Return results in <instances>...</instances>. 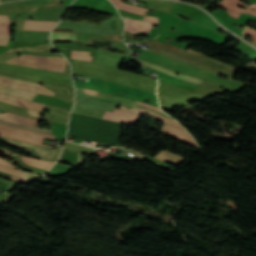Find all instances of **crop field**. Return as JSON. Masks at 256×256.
<instances>
[{
  "mask_svg": "<svg viewBox=\"0 0 256 256\" xmlns=\"http://www.w3.org/2000/svg\"><path fill=\"white\" fill-rule=\"evenodd\" d=\"M7 63L45 68L63 72L66 60L65 58L59 57L31 56L22 54L20 59L13 58L7 61Z\"/></svg>",
  "mask_w": 256,
  "mask_h": 256,
  "instance_id": "1",
  "label": "crop field"
},
{
  "mask_svg": "<svg viewBox=\"0 0 256 256\" xmlns=\"http://www.w3.org/2000/svg\"><path fill=\"white\" fill-rule=\"evenodd\" d=\"M0 135L41 145L43 138L53 140L55 136L21 130L0 124ZM44 146V145H43ZM49 147V146H47ZM55 148V147H51ZM60 149V148H57Z\"/></svg>",
  "mask_w": 256,
  "mask_h": 256,
  "instance_id": "2",
  "label": "crop field"
},
{
  "mask_svg": "<svg viewBox=\"0 0 256 256\" xmlns=\"http://www.w3.org/2000/svg\"><path fill=\"white\" fill-rule=\"evenodd\" d=\"M0 138L4 143H6L12 147L30 151L32 157L56 161L59 156L60 150L31 145V144H27V143L15 141V140H9V139H5L1 136H0Z\"/></svg>",
  "mask_w": 256,
  "mask_h": 256,
  "instance_id": "3",
  "label": "crop field"
},
{
  "mask_svg": "<svg viewBox=\"0 0 256 256\" xmlns=\"http://www.w3.org/2000/svg\"><path fill=\"white\" fill-rule=\"evenodd\" d=\"M0 119L10 121V122H14V123H18V124L35 126V127H37V125H38L37 120H33V119H29V118L9 114V113L2 114V115L0 114ZM2 120H0V123L6 124V125H11V126H15V127L23 128V129H28V130H32V131H37V132H42V133L53 134V132L49 131V130H43V129L28 127V126H22V125L10 123V122L2 121Z\"/></svg>",
  "mask_w": 256,
  "mask_h": 256,
  "instance_id": "4",
  "label": "crop field"
},
{
  "mask_svg": "<svg viewBox=\"0 0 256 256\" xmlns=\"http://www.w3.org/2000/svg\"><path fill=\"white\" fill-rule=\"evenodd\" d=\"M0 84L7 86L9 88L20 89V90H25L29 92H35V93L46 94L51 96H53L54 94V92L48 90L47 88L41 85L31 84V83L14 80V79H8L1 76H0Z\"/></svg>",
  "mask_w": 256,
  "mask_h": 256,
  "instance_id": "5",
  "label": "crop field"
},
{
  "mask_svg": "<svg viewBox=\"0 0 256 256\" xmlns=\"http://www.w3.org/2000/svg\"><path fill=\"white\" fill-rule=\"evenodd\" d=\"M103 118L136 125L140 115L115 109L113 113L107 111Z\"/></svg>",
  "mask_w": 256,
  "mask_h": 256,
  "instance_id": "6",
  "label": "crop field"
},
{
  "mask_svg": "<svg viewBox=\"0 0 256 256\" xmlns=\"http://www.w3.org/2000/svg\"><path fill=\"white\" fill-rule=\"evenodd\" d=\"M124 20L126 22L125 30L136 33V34H139V31L148 33L152 26V23L145 22V21L126 19V18H124Z\"/></svg>",
  "mask_w": 256,
  "mask_h": 256,
  "instance_id": "7",
  "label": "crop field"
},
{
  "mask_svg": "<svg viewBox=\"0 0 256 256\" xmlns=\"http://www.w3.org/2000/svg\"><path fill=\"white\" fill-rule=\"evenodd\" d=\"M0 101L18 105V106L28 107V108L39 110V111L42 110V107L44 105L41 103L30 102V101H26V100H22V99H17V98L1 95V94H0Z\"/></svg>",
  "mask_w": 256,
  "mask_h": 256,
  "instance_id": "8",
  "label": "crop field"
},
{
  "mask_svg": "<svg viewBox=\"0 0 256 256\" xmlns=\"http://www.w3.org/2000/svg\"><path fill=\"white\" fill-rule=\"evenodd\" d=\"M57 22L26 20L24 30L50 31Z\"/></svg>",
  "mask_w": 256,
  "mask_h": 256,
  "instance_id": "9",
  "label": "crop field"
},
{
  "mask_svg": "<svg viewBox=\"0 0 256 256\" xmlns=\"http://www.w3.org/2000/svg\"><path fill=\"white\" fill-rule=\"evenodd\" d=\"M161 131L166 132L168 134H171L173 136H176V137H178L180 139L188 141V142H190V143H192V144L197 146L196 142L189 135V133L187 131H185V130H182V129H179V128H176V127H173V126H170V125L164 123Z\"/></svg>",
  "mask_w": 256,
  "mask_h": 256,
  "instance_id": "10",
  "label": "crop field"
},
{
  "mask_svg": "<svg viewBox=\"0 0 256 256\" xmlns=\"http://www.w3.org/2000/svg\"><path fill=\"white\" fill-rule=\"evenodd\" d=\"M121 110H125V111H129V112H132V113H136V114H140V115H145L146 113L152 115L153 118L155 119H158L162 122H165V123H168L170 125H173V126H176V127H179V128H182L184 129L178 122H176L175 120L173 119H170V118H167V117H164V116H161V115H158V114H155V113H152V112H149V111H146V110H142V109H139V108H135L133 107L132 110H129V109H126L125 107H121Z\"/></svg>",
  "mask_w": 256,
  "mask_h": 256,
  "instance_id": "11",
  "label": "crop field"
},
{
  "mask_svg": "<svg viewBox=\"0 0 256 256\" xmlns=\"http://www.w3.org/2000/svg\"><path fill=\"white\" fill-rule=\"evenodd\" d=\"M155 158L162 160L168 164H171L175 167H177L179 164L183 162V158L168 151L164 150L163 152L159 153Z\"/></svg>",
  "mask_w": 256,
  "mask_h": 256,
  "instance_id": "12",
  "label": "crop field"
},
{
  "mask_svg": "<svg viewBox=\"0 0 256 256\" xmlns=\"http://www.w3.org/2000/svg\"><path fill=\"white\" fill-rule=\"evenodd\" d=\"M101 95H102V98L104 99H117V100H123V101H128V102H132V103H136V101H133V100H129V99H125V98H121V97H117L115 95H111V94H106V93H102L100 92ZM140 102V101H139ZM138 102V103H139ZM140 106L139 108H142V109H146V110H149V111H152V112H155V113H158V114H161V115H164V116H167L166 114H164L163 112L160 111V109L158 107H155V106H152V105H148V104H143V103H139ZM169 117V116H167ZM171 118V117H170Z\"/></svg>",
  "mask_w": 256,
  "mask_h": 256,
  "instance_id": "13",
  "label": "crop field"
},
{
  "mask_svg": "<svg viewBox=\"0 0 256 256\" xmlns=\"http://www.w3.org/2000/svg\"><path fill=\"white\" fill-rule=\"evenodd\" d=\"M0 93L5 94V95H9V96H13V97H17V98L30 100V101H32L33 96H36V94H34V93H29V92L19 91V90H13V89H9V88H6L4 86H1V85H0Z\"/></svg>",
  "mask_w": 256,
  "mask_h": 256,
  "instance_id": "14",
  "label": "crop field"
},
{
  "mask_svg": "<svg viewBox=\"0 0 256 256\" xmlns=\"http://www.w3.org/2000/svg\"><path fill=\"white\" fill-rule=\"evenodd\" d=\"M75 38H76L75 34L59 33V32H52L51 33V41H56V42H74Z\"/></svg>",
  "mask_w": 256,
  "mask_h": 256,
  "instance_id": "15",
  "label": "crop field"
},
{
  "mask_svg": "<svg viewBox=\"0 0 256 256\" xmlns=\"http://www.w3.org/2000/svg\"><path fill=\"white\" fill-rule=\"evenodd\" d=\"M110 1L115 6H117L118 8H122V9L128 10L130 12H134V13H138V14L144 15L146 13V11H147V9H145V8L136 7V6H132V5L121 3L123 0H118V1H121V2H117V1H113V0H110Z\"/></svg>",
  "mask_w": 256,
  "mask_h": 256,
  "instance_id": "16",
  "label": "crop field"
},
{
  "mask_svg": "<svg viewBox=\"0 0 256 256\" xmlns=\"http://www.w3.org/2000/svg\"><path fill=\"white\" fill-rule=\"evenodd\" d=\"M138 61H139V60H138ZM139 62H141L142 64L147 65V66H149V67H152V68H154V69H157V70H159V71H162V72H164V73H167V74H169V75H172V76H174V77H177V78H180V79H183V80H186V81L195 83V84H197V85H199L200 83H202V81L195 80V79H192V78H189V77H185V76H181V75H180V76H177V75H174V72H171V71H168V70H165V69H162V68L153 66V65H151V64H148V63H145V62H142V61H139Z\"/></svg>",
  "mask_w": 256,
  "mask_h": 256,
  "instance_id": "17",
  "label": "crop field"
},
{
  "mask_svg": "<svg viewBox=\"0 0 256 256\" xmlns=\"http://www.w3.org/2000/svg\"><path fill=\"white\" fill-rule=\"evenodd\" d=\"M220 6L226 8L229 12V15L235 18H237L242 12H244V10L236 7L234 4L230 2L223 1Z\"/></svg>",
  "mask_w": 256,
  "mask_h": 256,
  "instance_id": "18",
  "label": "crop field"
},
{
  "mask_svg": "<svg viewBox=\"0 0 256 256\" xmlns=\"http://www.w3.org/2000/svg\"><path fill=\"white\" fill-rule=\"evenodd\" d=\"M90 52L86 51H72L71 57L72 59H77V60H84V61H90L92 60V57L89 56Z\"/></svg>",
  "mask_w": 256,
  "mask_h": 256,
  "instance_id": "19",
  "label": "crop field"
},
{
  "mask_svg": "<svg viewBox=\"0 0 256 256\" xmlns=\"http://www.w3.org/2000/svg\"><path fill=\"white\" fill-rule=\"evenodd\" d=\"M22 159L30 165L41 167V168H46V169H49V167L53 164L51 162H45V161L29 159V158H24V157Z\"/></svg>",
  "mask_w": 256,
  "mask_h": 256,
  "instance_id": "20",
  "label": "crop field"
},
{
  "mask_svg": "<svg viewBox=\"0 0 256 256\" xmlns=\"http://www.w3.org/2000/svg\"><path fill=\"white\" fill-rule=\"evenodd\" d=\"M0 170L8 172V173H12L18 176H22V177H27V172H23L20 170H16V169H12V168H8V167H4V166H0Z\"/></svg>",
  "mask_w": 256,
  "mask_h": 256,
  "instance_id": "21",
  "label": "crop field"
},
{
  "mask_svg": "<svg viewBox=\"0 0 256 256\" xmlns=\"http://www.w3.org/2000/svg\"><path fill=\"white\" fill-rule=\"evenodd\" d=\"M10 176H13V175H10V174H7V173H4V172L0 171V177L7 178V177H10ZM7 179H10V180H13V181H17V182H20V183H23V184H25V183L30 181V180H26V179H23V178H20V177H16V176H13V177H10V178H7Z\"/></svg>",
  "mask_w": 256,
  "mask_h": 256,
  "instance_id": "22",
  "label": "crop field"
},
{
  "mask_svg": "<svg viewBox=\"0 0 256 256\" xmlns=\"http://www.w3.org/2000/svg\"><path fill=\"white\" fill-rule=\"evenodd\" d=\"M0 35L9 36V24H0Z\"/></svg>",
  "mask_w": 256,
  "mask_h": 256,
  "instance_id": "23",
  "label": "crop field"
},
{
  "mask_svg": "<svg viewBox=\"0 0 256 256\" xmlns=\"http://www.w3.org/2000/svg\"><path fill=\"white\" fill-rule=\"evenodd\" d=\"M244 34H248V35L254 36V43H255V45H256V31H255V30H252V29L247 28V29L245 30Z\"/></svg>",
  "mask_w": 256,
  "mask_h": 256,
  "instance_id": "24",
  "label": "crop field"
},
{
  "mask_svg": "<svg viewBox=\"0 0 256 256\" xmlns=\"http://www.w3.org/2000/svg\"><path fill=\"white\" fill-rule=\"evenodd\" d=\"M9 37L0 36V45H6Z\"/></svg>",
  "mask_w": 256,
  "mask_h": 256,
  "instance_id": "25",
  "label": "crop field"
},
{
  "mask_svg": "<svg viewBox=\"0 0 256 256\" xmlns=\"http://www.w3.org/2000/svg\"><path fill=\"white\" fill-rule=\"evenodd\" d=\"M53 31H59V32H73L72 29H63V28H55Z\"/></svg>",
  "mask_w": 256,
  "mask_h": 256,
  "instance_id": "26",
  "label": "crop field"
},
{
  "mask_svg": "<svg viewBox=\"0 0 256 256\" xmlns=\"http://www.w3.org/2000/svg\"><path fill=\"white\" fill-rule=\"evenodd\" d=\"M0 23H10L7 16L0 15Z\"/></svg>",
  "mask_w": 256,
  "mask_h": 256,
  "instance_id": "27",
  "label": "crop field"
},
{
  "mask_svg": "<svg viewBox=\"0 0 256 256\" xmlns=\"http://www.w3.org/2000/svg\"><path fill=\"white\" fill-rule=\"evenodd\" d=\"M144 20L157 23V18H153V17H146L145 16Z\"/></svg>",
  "mask_w": 256,
  "mask_h": 256,
  "instance_id": "28",
  "label": "crop field"
},
{
  "mask_svg": "<svg viewBox=\"0 0 256 256\" xmlns=\"http://www.w3.org/2000/svg\"><path fill=\"white\" fill-rule=\"evenodd\" d=\"M0 164H1V165H5V166H9V167L15 168L14 166H12L11 164L5 162V161H4L3 159H1V158H0Z\"/></svg>",
  "mask_w": 256,
  "mask_h": 256,
  "instance_id": "29",
  "label": "crop field"
},
{
  "mask_svg": "<svg viewBox=\"0 0 256 256\" xmlns=\"http://www.w3.org/2000/svg\"><path fill=\"white\" fill-rule=\"evenodd\" d=\"M229 1H231V2H233V3H235V4H237V5H239V6H241V7H245V8H246V6H245L244 4H242V3H240L239 0H229Z\"/></svg>",
  "mask_w": 256,
  "mask_h": 256,
  "instance_id": "30",
  "label": "crop field"
},
{
  "mask_svg": "<svg viewBox=\"0 0 256 256\" xmlns=\"http://www.w3.org/2000/svg\"><path fill=\"white\" fill-rule=\"evenodd\" d=\"M144 156H146V157H148V158H150V159H152V160H154V161H157V162H159V163H161V164H163V165L169 167V165H167V164H165V163H163V162H161V161H159V160H157V159H154V158H152V157H149V156H147V155H145V154H144Z\"/></svg>",
  "mask_w": 256,
  "mask_h": 256,
  "instance_id": "31",
  "label": "crop field"
},
{
  "mask_svg": "<svg viewBox=\"0 0 256 256\" xmlns=\"http://www.w3.org/2000/svg\"><path fill=\"white\" fill-rule=\"evenodd\" d=\"M31 115L40 116L41 113L28 110Z\"/></svg>",
  "mask_w": 256,
  "mask_h": 256,
  "instance_id": "32",
  "label": "crop field"
},
{
  "mask_svg": "<svg viewBox=\"0 0 256 256\" xmlns=\"http://www.w3.org/2000/svg\"><path fill=\"white\" fill-rule=\"evenodd\" d=\"M84 91H85V93H89V94H93V95H95V94H96V92H95V91H90V90H86V89H84Z\"/></svg>",
  "mask_w": 256,
  "mask_h": 256,
  "instance_id": "33",
  "label": "crop field"
},
{
  "mask_svg": "<svg viewBox=\"0 0 256 256\" xmlns=\"http://www.w3.org/2000/svg\"><path fill=\"white\" fill-rule=\"evenodd\" d=\"M250 9L256 10V4H252L251 6H249Z\"/></svg>",
  "mask_w": 256,
  "mask_h": 256,
  "instance_id": "34",
  "label": "crop field"
},
{
  "mask_svg": "<svg viewBox=\"0 0 256 256\" xmlns=\"http://www.w3.org/2000/svg\"><path fill=\"white\" fill-rule=\"evenodd\" d=\"M247 13H250V14L256 15V12L249 11V10H247Z\"/></svg>",
  "mask_w": 256,
  "mask_h": 256,
  "instance_id": "35",
  "label": "crop field"
}]
</instances>
